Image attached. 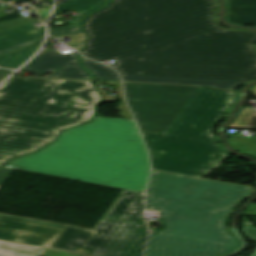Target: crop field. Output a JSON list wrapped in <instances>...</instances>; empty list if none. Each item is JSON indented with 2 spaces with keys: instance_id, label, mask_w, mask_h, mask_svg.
I'll list each match as a JSON object with an SVG mask.
<instances>
[{
  "instance_id": "1",
  "label": "crop field",
  "mask_w": 256,
  "mask_h": 256,
  "mask_svg": "<svg viewBox=\"0 0 256 256\" xmlns=\"http://www.w3.org/2000/svg\"><path fill=\"white\" fill-rule=\"evenodd\" d=\"M83 27L80 53L112 58L123 81L233 90L256 79V33L220 28L213 0H114Z\"/></svg>"
},
{
  "instance_id": "2",
  "label": "crop field",
  "mask_w": 256,
  "mask_h": 256,
  "mask_svg": "<svg viewBox=\"0 0 256 256\" xmlns=\"http://www.w3.org/2000/svg\"><path fill=\"white\" fill-rule=\"evenodd\" d=\"M4 167L142 193L150 172L134 121L98 116Z\"/></svg>"
},
{
  "instance_id": "3",
  "label": "crop field",
  "mask_w": 256,
  "mask_h": 256,
  "mask_svg": "<svg viewBox=\"0 0 256 256\" xmlns=\"http://www.w3.org/2000/svg\"><path fill=\"white\" fill-rule=\"evenodd\" d=\"M99 101L91 82L11 77L0 86V167L90 121Z\"/></svg>"
},
{
  "instance_id": "4",
  "label": "crop field",
  "mask_w": 256,
  "mask_h": 256,
  "mask_svg": "<svg viewBox=\"0 0 256 256\" xmlns=\"http://www.w3.org/2000/svg\"><path fill=\"white\" fill-rule=\"evenodd\" d=\"M237 93L200 87L158 135L142 133L152 169L202 178L229 155L221 152L211 133Z\"/></svg>"
},
{
  "instance_id": "5",
  "label": "crop field",
  "mask_w": 256,
  "mask_h": 256,
  "mask_svg": "<svg viewBox=\"0 0 256 256\" xmlns=\"http://www.w3.org/2000/svg\"><path fill=\"white\" fill-rule=\"evenodd\" d=\"M146 198L179 221L150 235L144 256H221L239 246L225 229L232 210L149 194Z\"/></svg>"
},
{
  "instance_id": "6",
  "label": "crop field",
  "mask_w": 256,
  "mask_h": 256,
  "mask_svg": "<svg viewBox=\"0 0 256 256\" xmlns=\"http://www.w3.org/2000/svg\"><path fill=\"white\" fill-rule=\"evenodd\" d=\"M127 103L145 133L158 134L199 87L123 83Z\"/></svg>"
},
{
  "instance_id": "7",
  "label": "crop field",
  "mask_w": 256,
  "mask_h": 256,
  "mask_svg": "<svg viewBox=\"0 0 256 256\" xmlns=\"http://www.w3.org/2000/svg\"><path fill=\"white\" fill-rule=\"evenodd\" d=\"M253 188L152 171L147 193L233 209Z\"/></svg>"
},
{
  "instance_id": "8",
  "label": "crop field",
  "mask_w": 256,
  "mask_h": 256,
  "mask_svg": "<svg viewBox=\"0 0 256 256\" xmlns=\"http://www.w3.org/2000/svg\"><path fill=\"white\" fill-rule=\"evenodd\" d=\"M144 194L125 191L110 206L102 220L116 222L104 256H141L147 238L146 228H135L134 223Z\"/></svg>"
},
{
  "instance_id": "9",
  "label": "crop field",
  "mask_w": 256,
  "mask_h": 256,
  "mask_svg": "<svg viewBox=\"0 0 256 256\" xmlns=\"http://www.w3.org/2000/svg\"><path fill=\"white\" fill-rule=\"evenodd\" d=\"M69 225L0 213V239L52 249Z\"/></svg>"
},
{
  "instance_id": "10",
  "label": "crop field",
  "mask_w": 256,
  "mask_h": 256,
  "mask_svg": "<svg viewBox=\"0 0 256 256\" xmlns=\"http://www.w3.org/2000/svg\"><path fill=\"white\" fill-rule=\"evenodd\" d=\"M113 225L100 221L93 231L70 226L54 248L103 256Z\"/></svg>"
},
{
  "instance_id": "11",
  "label": "crop field",
  "mask_w": 256,
  "mask_h": 256,
  "mask_svg": "<svg viewBox=\"0 0 256 256\" xmlns=\"http://www.w3.org/2000/svg\"><path fill=\"white\" fill-rule=\"evenodd\" d=\"M54 78L93 80L92 77L79 66L77 53H51L37 55L22 70L40 75L58 70Z\"/></svg>"
},
{
  "instance_id": "12",
  "label": "crop field",
  "mask_w": 256,
  "mask_h": 256,
  "mask_svg": "<svg viewBox=\"0 0 256 256\" xmlns=\"http://www.w3.org/2000/svg\"><path fill=\"white\" fill-rule=\"evenodd\" d=\"M33 23L1 32L0 55L40 42L43 27L35 28Z\"/></svg>"
},
{
  "instance_id": "13",
  "label": "crop field",
  "mask_w": 256,
  "mask_h": 256,
  "mask_svg": "<svg viewBox=\"0 0 256 256\" xmlns=\"http://www.w3.org/2000/svg\"><path fill=\"white\" fill-rule=\"evenodd\" d=\"M227 2L229 22L256 26V0H227Z\"/></svg>"
},
{
  "instance_id": "14",
  "label": "crop field",
  "mask_w": 256,
  "mask_h": 256,
  "mask_svg": "<svg viewBox=\"0 0 256 256\" xmlns=\"http://www.w3.org/2000/svg\"><path fill=\"white\" fill-rule=\"evenodd\" d=\"M111 0H76L61 6H58L54 14L73 9L79 16L72 19L81 25L83 19L90 13L105 6V3ZM53 14V15H54Z\"/></svg>"
},
{
  "instance_id": "15",
  "label": "crop field",
  "mask_w": 256,
  "mask_h": 256,
  "mask_svg": "<svg viewBox=\"0 0 256 256\" xmlns=\"http://www.w3.org/2000/svg\"><path fill=\"white\" fill-rule=\"evenodd\" d=\"M43 248L0 240V256H40Z\"/></svg>"
},
{
  "instance_id": "16",
  "label": "crop field",
  "mask_w": 256,
  "mask_h": 256,
  "mask_svg": "<svg viewBox=\"0 0 256 256\" xmlns=\"http://www.w3.org/2000/svg\"><path fill=\"white\" fill-rule=\"evenodd\" d=\"M80 59L83 67L93 74L95 80L120 81L117 73L105 65L85 59L82 56Z\"/></svg>"
},
{
  "instance_id": "17",
  "label": "crop field",
  "mask_w": 256,
  "mask_h": 256,
  "mask_svg": "<svg viewBox=\"0 0 256 256\" xmlns=\"http://www.w3.org/2000/svg\"><path fill=\"white\" fill-rule=\"evenodd\" d=\"M39 45L0 57V67L12 69L20 67L35 52Z\"/></svg>"
},
{
  "instance_id": "18",
  "label": "crop field",
  "mask_w": 256,
  "mask_h": 256,
  "mask_svg": "<svg viewBox=\"0 0 256 256\" xmlns=\"http://www.w3.org/2000/svg\"><path fill=\"white\" fill-rule=\"evenodd\" d=\"M229 141L236 150L256 157V136L229 137Z\"/></svg>"
},
{
  "instance_id": "19",
  "label": "crop field",
  "mask_w": 256,
  "mask_h": 256,
  "mask_svg": "<svg viewBox=\"0 0 256 256\" xmlns=\"http://www.w3.org/2000/svg\"><path fill=\"white\" fill-rule=\"evenodd\" d=\"M108 84L116 86L118 98H121V100H122V103L118 106V109L122 110L121 117L133 119L130 111L128 110V108L124 102L120 83L108 82Z\"/></svg>"
},
{
  "instance_id": "20",
  "label": "crop field",
  "mask_w": 256,
  "mask_h": 256,
  "mask_svg": "<svg viewBox=\"0 0 256 256\" xmlns=\"http://www.w3.org/2000/svg\"><path fill=\"white\" fill-rule=\"evenodd\" d=\"M252 112V109L245 108L236 121L227 128L243 129Z\"/></svg>"
},
{
  "instance_id": "21",
  "label": "crop field",
  "mask_w": 256,
  "mask_h": 256,
  "mask_svg": "<svg viewBox=\"0 0 256 256\" xmlns=\"http://www.w3.org/2000/svg\"><path fill=\"white\" fill-rule=\"evenodd\" d=\"M29 22H32V21L25 17H21V18H17V19L11 20V21L1 23L0 24V32L10 29V28H14V27L26 24V23H29Z\"/></svg>"
},
{
  "instance_id": "22",
  "label": "crop field",
  "mask_w": 256,
  "mask_h": 256,
  "mask_svg": "<svg viewBox=\"0 0 256 256\" xmlns=\"http://www.w3.org/2000/svg\"><path fill=\"white\" fill-rule=\"evenodd\" d=\"M78 33H83L80 26L68 28V29H49V35L51 36L78 34Z\"/></svg>"
},
{
  "instance_id": "23",
  "label": "crop field",
  "mask_w": 256,
  "mask_h": 256,
  "mask_svg": "<svg viewBox=\"0 0 256 256\" xmlns=\"http://www.w3.org/2000/svg\"><path fill=\"white\" fill-rule=\"evenodd\" d=\"M243 232L253 241H256V228L243 225ZM252 256H256V250Z\"/></svg>"
},
{
  "instance_id": "24",
  "label": "crop field",
  "mask_w": 256,
  "mask_h": 256,
  "mask_svg": "<svg viewBox=\"0 0 256 256\" xmlns=\"http://www.w3.org/2000/svg\"><path fill=\"white\" fill-rule=\"evenodd\" d=\"M244 129L256 130V110H254Z\"/></svg>"
},
{
  "instance_id": "25",
  "label": "crop field",
  "mask_w": 256,
  "mask_h": 256,
  "mask_svg": "<svg viewBox=\"0 0 256 256\" xmlns=\"http://www.w3.org/2000/svg\"><path fill=\"white\" fill-rule=\"evenodd\" d=\"M13 170L2 168L0 169V186L7 179V177L12 173Z\"/></svg>"
},
{
  "instance_id": "26",
  "label": "crop field",
  "mask_w": 256,
  "mask_h": 256,
  "mask_svg": "<svg viewBox=\"0 0 256 256\" xmlns=\"http://www.w3.org/2000/svg\"><path fill=\"white\" fill-rule=\"evenodd\" d=\"M159 215L162 217L165 226H168V225L174 223L175 221H177L174 218H172V217H170V216H168V215H166V214H164L160 211H159Z\"/></svg>"
},
{
  "instance_id": "27",
  "label": "crop field",
  "mask_w": 256,
  "mask_h": 256,
  "mask_svg": "<svg viewBox=\"0 0 256 256\" xmlns=\"http://www.w3.org/2000/svg\"><path fill=\"white\" fill-rule=\"evenodd\" d=\"M96 84H97L98 89L101 91V93L103 95V98H104L103 102H114V101L117 100L116 98H109V97H107L105 92H104V90L100 89V86H103L102 82H96Z\"/></svg>"
},
{
  "instance_id": "28",
  "label": "crop field",
  "mask_w": 256,
  "mask_h": 256,
  "mask_svg": "<svg viewBox=\"0 0 256 256\" xmlns=\"http://www.w3.org/2000/svg\"><path fill=\"white\" fill-rule=\"evenodd\" d=\"M142 210L143 209L140 210V213L138 215L137 221L135 223V227H146L144 219H143V216H142Z\"/></svg>"
},
{
  "instance_id": "29",
  "label": "crop field",
  "mask_w": 256,
  "mask_h": 256,
  "mask_svg": "<svg viewBox=\"0 0 256 256\" xmlns=\"http://www.w3.org/2000/svg\"><path fill=\"white\" fill-rule=\"evenodd\" d=\"M17 17H21V15L16 13V12H14V13L9 14L7 16L1 17L0 18V23L4 22V21H7V20H11V19L17 18Z\"/></svg>"
},
{
  "instance_id": "30",
  "label": "crop field",
  "mask_w": 256,
  "mask_h": 256,
  "mask_svg": "<svg viewBox=\"0 0 256 256\" xmlns=\"http://www.w3.org/2000/svg\"><path fill=\"white\" fill-rule=\"evenodd\" d=\"M12 72L13 71L0 69V81H2L5 77H7Z\"/></svg>"
},
{
  "instance_id": "31",
  "label": "crop field",
  "mask_w": 256,
  "mask_h": 256,
  "mask_svg": "<svg viewBox=\"0 0 256 256\" xmlns=\"http://www.w3.org/2000/svg\"><path fill=\"white\" fill-rule=\"evenodd\" d=\"M245 213H249L256 216V204L250 205L249 208L245 211Z\"/></svg>"
},
{
  "instance_id": "32",
  "label": "crop field",
  "mask_w": 256,
  "mask_h": 256,
  "mask_svg": "<svg viewBox=\"0 0 256 256\" xmlns=\"http://www.w3.org/2000/svg\"><path fill=\"white\" fill-rule=\"evenodd\" d=\"M156 208L146 199L145 210H155Z\"/></svg>"
},
{
  "instance_id": "33",
  "label": "crop field",
  "mask_w": 256,
  "mask_h": 256,
  "mask_svg": "<svg viewBox=\"0 0 256 256\" xmlns=\"http://www.w3.org/2000/svg\"><path fill=\"white\" fill-rule=\"evenodd\" d=\"M8 7H10V6L0 7V11H2V10H4V9H6V8H8Z\"/></svg>"
},
{
  "instance_id": "34",
  "label": "crop field",
  "mask_w": 256,
  "mask_h": 256,
  "mask_svg": "<svg viewBox=\"0 0 256 256\" xmlns=\"http://www.w3.org/2000/svg\"><path fill=\"white\" fill-rule=\"evenodd\" d=\"M253 93L256 95V86L252 89Z\"/></svg>"
},
{
  "instance_id": "35",
  "label": "crop field",
  "mask_w": 256,
  "mask_h": 256,
  "mask_svg": "<svg viewBox=\"0 0 256 256\" xmlns=\"http://www.w3.org/2000/svg\"><path fill=\"white\" fill-rule=\"evenodd\" d=\"M1 2L7 1V0H0Z\"/></svg>"
},
{
  "instance_id": "36",
  "label": "crop field",
  "mask_w": 256,
  "mask_h": 256,
  "mask_svg": "<svg viewBox=\"0 0 256 256\" xmlns=\"http://www.w3.org/2000/svg\"><path fill=\"white\" fill-rule=\"evenodd\" d=\"M0 4H2V3H0Z\"/></svg>"
}]
</instances>
